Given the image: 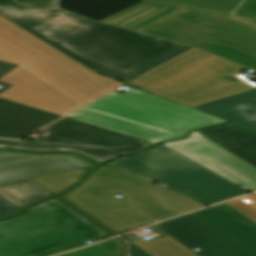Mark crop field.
<instances>
[{"instance_id": "8a807250", "label": "crop field", "mask_w": 256, "mask_h": 256, "mask_svg": "<svg viewBox=\"0 0 256 256\" xmlns=\"http://www.w3.org/2000/svg\"><path fill=\"white\" fill-rule=\"evenodd\" d=\"M134 90L113 92L43 130L53 133L37 143L0 140V147L30 151L78 152L98 163L133 155L162 141L186 136L192 130L228 122L220 118Z\"/></svg>"}, {"instance_id": "ac0d7876", "label": "crop field", "mask_w": 256, "mask_h": 256, "mask_svg": "<svg viewBox=\"0 0 256 256\" xmlns=\"http://www.w3.org/2000/svg\"><path fill=\"white\" fill-rule=\"evenodd\" d=\"M0 15L97 73L126 83V71L179 45L60 9V0L0 1Z\"/></svg>"}, {"instance_id": "34b2d1b8", "label": "crop field", "mask_w": 256, "mask_h": 256, "mask_svg": "<svg viewBox=\"0 0 256 256\" xmlns=\"http://www.w3.org/2000/svg\"><path fill=\"white\" fill-rule=\"evenodd\" d=\"M0 60L20 65L0 78L1 98L66 115L123 85L88 70L0 16Z\"/></svg>"}, {"instance_id": "412701ff", "label": "crop field", "mask_w": 256, "mask_h": 256, "mask_svg": "<svg viewBox=\"0 0 256 256\" xmlns=\"http://www.w3.org/2000/svg\"><path fill=\"white\" fill-rule=\"evenodd\" d=\"M242 69L250 70L193 48L128 84L256 133V84L240 77ZM225 75L239 82L225 81Z\"/></svg>"}, {"instance_id": "f4fd0767", "label": "crop field", "mask_w": 256, "mask_h": 256, "mask_svg": "<svg viewBox=\"0 0 256 256\" xmlns=\"http://www.w3.org/2000/svg\"><path fill=\"white\" fill-rule=\"evenodd\" d=\"M117 193L159 221L206 206L108 166L92 172L61 198L115 234L157 223L125 198L116 197Z\"/></svg>"}, {"instance_id": "dd49c442", "label": "crop field", "mask_w": 256, "mask_h": 256, "mask_svg": "<svg viewBox=\"0 0 256 256\" xmlns=\"http://www.w3.org/2000/svg\"><path fill=\"white\" fill-rule=\"evenodd\" d=\"M140 1L101 22L185 45L237 17L256 20V0Z\"/></svg>"}, {"instance_id": "e52e79f7", "label": "crop field", "mask_w": 256, "mask_h": 256, "mask_svg": "<svg viewBox=\"0 0 256 256\" xmlns=\"http://www.w3.org/2000/svg\"><path fill=\"white\" fill-rule=\"evenodd\" d=\"M107 236L110 235L54 197L0 222V256H50Z\"/></svg>"}, {"instance_id": "d8731c3e", "label": "crop field", "mask_w": 256, "mask_h": 256, "mask_svg": "<svg viewBox=\"0 0 256 256\" xmlns=\"http://www.w3.org/2000/svg\"><path fill=\"white\" fill-rule=\"evenodd\" d=\"M106 165L206 205L250 193L161 145Z\"/></svg>"}, {"instance_id": "5a996713", "label": "crop field", "mask_w": 256, "mask_h": 256, "mask_svg": "<svg viewBox=\"0 0 256 256\" xmlns=\"http://www.w3.org/2000/svg\"><path fill=\"white\" fill-rule=\"evenodd\" d=\"M163 145L251 192L256 191V168L196 131L186 139Z\"/></svg>"}, {"instance_id": "3316defc", "label": "crop field", "mask_w": 256, "mask_h": 256, "mask_svg": "<svg viewBox=\"0 0 256 256\" xmlns=\"http://www.w3.org/2000/svg\"><path fill=\"white\" fill-rule=\"evenodd\" d=\"M187 46L196 47L256 71V23L248 19L238 18Z\"/></svg>"}, {"instance_id": "28ad6ade", "label": "crop field", "mask_w": 256, "mask_h": 256, "mask_svg": "<svg viewBox=\"0 0 256 256\" xmlns=\"http://www.w3.org/2000/svg\"><path fill=\"white\" fill-rule=\"evenodd\" d=\"M91 166L92 163L70 154L0 151V183Z\"/></svg>"}, {"instance_id": "d1516ede", "label": "crop field", "mask_w": 256, "mask_h": 256, "mask_svg": "<svg viewBox=\"0 0 256 256\" xmlns=\"http://www.w3.org/2000/svg\"><path fill=\"white\" fill-rule=\"evenodd\" d=\"M158 225L200 256H250L191 214Z\"/></svg>"}, {"instance_id": "22f410ed", "label": "crop field", "mask_w": 256, "mask_h": 256, "mask_svg": "<svg viewBox=\"0 0 256 256\" xmlns=\"http://www.w3.org/2000/svg\"><path fill=\"white\" fill-rule=\"evenodd\" d=\"M192 214L251 256H256V224L228 204Z\"/></svg>"}, {"instance_id": "cbeb9de0", "label": "crop field", "mask_w": 256, "mask_h": 256, "mask_svg": "<svg viewBox=\"0 0 256 256\" xmlns=\"http://www.w3.org/2000/svg\"><path fill=\"white\" fill-rule=\"evenodd\" d=\"M60 117L0 99V138L18 139Z\"/></svg>"}, {"instance_id": "5142ce71", "label": "crop field", "mask_w": 256, "mask_h": 256, "mask_svg": "<svg viewBox=\"0 0 256 256\" xmlns=\"http://www.w3.org/2000/svg\"><path fill=\"white\" fill-rule=\"evenodd\" d=\"M198 132L256 167V134L221 126L198 130Z\"/></svg>"}, {"instance_id": "d9b57169", "label": "crop field", "mask_w": 256, "mask_h": 256, "mask_svg": "<svg viewBox=\"0 0 256 256\" xmlns=\"http://www.w3.org/2000/svg\"><path fill=\"white\" fill-rule=\"evenodd\" d=\"M49 195L53 194L31 179L0 184V196L20 208Z\"/></svg>"}, {"instance_id": "733c2abd", "label": "crop field", "mask_w": 256, "mask_h": 256, "mask_svg": "<svg viewBox=\"0 0 256 256\" xmlns=\"http://www.w3.org/2000/svg\"><path fill=\"white\" fill-rule=\"evenodd\" d=\"M149 228H154L158 232H160L165 237L154 240L151 242H146L143 240L133 242L135 245H137L139 248L147 252L151 256H197L188 249H186L184 246L164 234L162 231L157 229L154 226H151Z\"/></svg>"}, {"instance_id": "4a817a6b", "label": "crop field", "mask_w": 256, "mask_h": 256, "mask_svg": "<svg viewBox=\"0 0 256 256\" xmlns=\"http://www.w3.org/2000/svg\"><path fill=\"white\" fill-rule=\"evenodd\" d=\"M93 168L94 167L41 176L33 178V180L50 190L55 195H59L77 184L86 172Z\"/></svg>"}, {"instance_id": "bc2a9ffb", "label": "crop field", "mask_w": 256, "mask_h": 256, "mask_svg": "<svg viewBox=\"0 0 256 256\" xmlns=\"http://www.w3.org/2000/svg\"><path fill=\"white\" fill-rule=\"evenodd\" d=\"M189 49H191V47L180 45V46H178V47H176V48H174V49H172V50L128 71V72L131 74L140 76V75L152 70L153 68L165 63L166 61L180 55L181 53H183Z\"/></svg>"}, {"instance_id": "214f88e0", "label": "crop field", "mask_w": 256, "mask_h": 256, "mask_svg": "<svg viewBox=\"0 0 256 256\" xmlns=\"http://www.w3.org/2000/svg\"><path fill=\"white\" fill-rule=\"evenodd\" d=\"M227 203L252 221L256 222V194L245 196Z\"/></svg>"}, {"instance_id": "92a150f3", "label": "crop field", "mask_w": 256, "mask_h": 256, "mask_svg": "<svg viewBox=\"0 0 256 256\" xmlns=\"http://www.w3.org/2000/svg\"><path fill=\"white\" fill-rule=\"evenodd\" d=\"M98 247L106 251L111 256H121L122 245L116 238L106 240L104 242L96 244Z\"/></svg>"}, {"instance_id": "dafd665d", "label": "crop field", "mask_w": 256, "mask_h": 256, "mask_svg": "<svg viewBox=\"0 0 256 256\" xmlns=\"http://www.w3.org/2000/svg\"><path fill=\"white\" fill-rule=\"evenodd\" d=\"M19 208L0 197V218L12 216Z\"/></svg>"}, {"instance_id": "00972430", "label": "crop field", "mask_w": 256, "mask_h": 256, "mask_svg": "<svg viewBox=\"0 0 256 256\" xmlns=\"http://www.w3.org/2000/svg\"><path fill=\"white\" fill-rule=\"evenodd\" d=\"M127 256H149L147 253L139 249L132 243H129V251Z\"/></svg>"}, {"instance_id": "a9b5d70f", "label": "crop field", "mask_w": 256, "mask_h": 256, "mask_svg": "<svg viewBox=\"0 0 256 256\" xmlns=\"http://www.w3.org/2000/svg\"><path fill=\"white\" fill-rule=\"evenodd\" d=\"M16 67H17V65H13V64H9V63L0 61V77H2L3 75L10 72L11 70H13Z\"/></svg>"}]
</instances>
